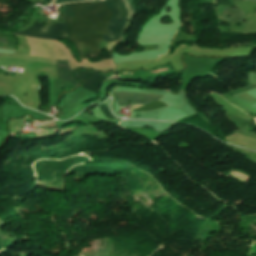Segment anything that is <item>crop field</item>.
I'll return each mask as SVG.
<instances>
[{"label":"crop field","instance_id":"8a807250","mask_svg":"<svg viewBox=\"0 0 256 256\" xmlns=\"http://www.w3.org/2000/svg\"><path fill=\"white\" fill-rule=\"evenodd\" d=\"M104 1L111 9L112 17ZM104 1H99V3L93 1L70 3L58 8L59 14L66 18L71 43L78 51L80 59H87L88 57L101 54L99 53V45L105 34L110 17L111 20L103 40L108 42L118 39L126 10L124 25L119 36V39H121L122 32L125 29L128 10L123 0L121 2L125 10L119 0ZM66 21L64 24L54 23L47 26L34 21L30 28L14 34L56 41L62 39L69 40Z\"/></svg>","mask_w":256,"mask_h":256},{"label":"crop field","instance_id":"ac0d7876","mask_svg":"<svg viewBox=\"0 0 256 256\" xmlns=\"http://www.w3.org/2000/svg\"><path fill=\"white\" fill-rule=\"evenodd\" d=\"M116 99L119 105H126L127 102L134 101V105L138 104H148L152 101L159 100L163 96L155 95V94H145V93H131V92H115ZM132 104V103H131ZM141 106V105H138ZM138 106H132V108H136Z\"/></svg>","mask_w":256,"mask_h":256},{"label":"crop field","instance_id":"34b2d1b8","mask_svg":"<svg viewBox=\"0 0 256 256\" xmlns=\"http://www.w3.org/2000/svg\"><path fill=\"white\" fill-rule=\"evenodd\" d=\"M76 75L78 78L84 81L82 87L95 93L98 92L99 84L106 79V77L103 75H99L85 70L76 71Z\"/></svg>","mask_w":256,"mask_h":256},{"label":"crop field","instance_id":"412701ff","mask_svg":"<svg viewBox=\"0 0 256 256\" xmlns=\"http://www.w3.org/2000/svg\"><path fill=\"white\" fill-rule=\"evenodd\" d=\"M56 68H57V76H58V79L60 80H65V81H69L71 82L72 84L76 85L78 84L79 82L76 81L72 74H71V71H73L72 69H70L68 66H67V60H57L56 62Z\"/></svg>","mask_w":256,"mask_h":256},{"label":"crop field","instance_id":"f4fd0767","mask_svg":"<svg viewBox=\"0 0 256 256\" xmlns=\"http://www.w3.org/2000/svg\"><path fill=\"white\" fill-rule=\"evenodd\" d=\"M225 15L232 16V19L226 18ZM223 20L232 21V22H241L243 20V14L240 9H233L226 7L224 12L221 15Z\"/></svg>","mask_w":256,"mask_h":256},{"label":"crop field","instance_id":"dd49c442","mask_svg":"<svg viewBox=\"0 0 256 256\" xmlns=\"http://www.w3.org/2000/svg\"><path fill=\"white\" fill-rule=\"evenodd\" d=\"M128 4V8L131 10L130 19L132 20L134 16H136L138 12V8L136 5V0H126Z\"/></svg>","mask_w":256,"mask_h":256},{"label":"crop field","instance_id":"e52e79f7","mask_svg":"<svg viewBox=\"0 0 256 256\" xmlns=\"http://www.w3.org/2000/svg\"><path fill=\"white\" fill-rule=\"evenodd\" d=\"M99 108L101 109L102 113L111 121L117 119L116 117H114L110 111L108 110L107 106L105 105V103H102L100 105H98Z\"/></svg>","mask_w":256,"mask_h":256},{"label":"crop field","instance_id":"d8731c3e","mask_svg":"<svg viewBox=\"0 0 256 256\" xmlns=\"http://www.w3.org/2000/svg\"><path fill=\"white\" fill-rule=\"evenodd\" d=\"M71 1H81V0H55L54 3L60 4V3H63V2H71Z\"/></svg>","mask_w":256,"mask_h":256},{"label":"crop field","instance_id":"5a996713","mask_svg":"<svg viewBox=\"0 0 256 256\" xmlns=\"http://www.w3.org/2000/svg\"><path fill=\"white\" fill-rule=\"evenodd\" d=\"M0 42H1V43H4V44H7L8 40H7V39L0 38Z\"/></svg>","mask_w":256,"mask_h":256},{"label":"crop field","instance_id":"3316defc","mask_svg":"<svg viewBox=\"0 0 256 256\" xmlns=\"http://www.w3.org/2000/svg\"><path fill=\"white\" fill-rule=\"evenodd\" d=\"M44 2H45V3H49V2H50V0H44Z\"/></svg>","mask_w":256,"mask_h":256}]
</instances>
